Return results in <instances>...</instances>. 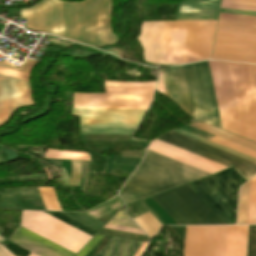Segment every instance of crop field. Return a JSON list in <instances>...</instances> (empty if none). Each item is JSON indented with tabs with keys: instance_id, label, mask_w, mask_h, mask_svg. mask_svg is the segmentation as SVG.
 Returning a JSON list of instances; mask_svg holds the SVG:
<instances>
[{
	"instance_id": "3316defc",
	"label": "crop field",
	"mask_w": 256,
	"mask_h": 256,
	"mask_svg": "<svg viewBox=\"0 0 256 256\" xmlns=\"http://www.w3.org/2000/svg\"><path fill=\"white\" fill-rule=\"evenodd\" d=\"M21 227L75 254L92 238L42 212L23 211Z\"/></svg>"
},
{
	"instance_id": "8a807250",
	"label": "crop field",
	"mask_w": 256,
	"mask_h": 256,
	"mask_svg": "<svg viewBox=\"0 0 256 256\" xmlns=\"http://www.w3.org/2000/svg\"><path fill=\"white\" fill-rule=\"evenodd\" d=\"M223 130L256 142V105L247 65L208 61ZM207 61L161 68L167 97L221 129Z\"/></svg>"
},
{
	"instance_id": "bc2a9ffb",
	"label": "crop field",
	"mask_w": 256,
	"mask_h": 256,
	"mask_svg": "<svg viewBox=\"0 0 256 256\" xmlns=\"http://www.w3.org/2000/svg\"><path fill=\"white\" fill-rule=\"evenodd\" d=\"M136 128L80 127L81 134L133 135Z\"/></svg>"
},
{
	"instance_id": "22f410ed",
	"label": "crop field",
	"mask_w": 256,
	"mask_h": 256,
	"mask_svg": "<svg viewBox=\"0 0 256 256\" xmlns=\"http://www.w3.org/2000/svg\"><path fill=\"white\" fill-rule=\"evenodd\" d=\"M29 82L0 75V126L15 110L32 105Z\"/></svg>"
},
{
	"instance_id": "c035e120",
	"label": "crop field",
	"mask_w": 256,
	"mask_h": 256,
	"mask_svg": "<svg viewBox=\"0 0 256 256\" xmlns=\"http://www.w3.org/2000/svg\"><path fill=\"white\" fill-rule=\"evenodd\" d=\"M7 13H8V14H11V15H16V16H19V17H20V10H8Z\"/></svg>"
},
{
	"instance_id": "e1f06a70",
	"label": "crop field",
	"mask_w": 256,
	"mask_h": 256,
	"mask_svg": "<svg viewBox=\"0 0 256 256\" xmlns=\"http://www.w3.org/2000/svg\"><path fill=\"white\" fill-rule=\"evenodd\" d=\"M220 12L234 13V14H244V15H254V16H256L255 12H245V11H235V10H225V9H221Z\"/></svg>"
},
{
	"instance_id": "00972430",
	"label": "crop field",
	"mask_w": 256,
	"mask_h": 256,
	"mask_svg": "<svg viewBox=\"0 0 256 256\" xmlns=\"http://www.w3.org/2000/svg\"><path fill=\"white\" fill-rule=\"evenodd\" d=\"M250 181L240 188L237 224H246Z\"/></svg>"
},
{
	"instance_id": "92a150f3",
	"label": "crop field",
	"mask_w": 256,
	"mask_h": 256,
	"mask_svg": "<svg viewBox=\"0 0 256 256\" xmlns=\"http://www.w3.org/2000/svg\"><path fill=\"white\" fill-rule=\"evenodd\" d=\"M151 238L162 226L149 212L133 219Z\"/></svg>"
},
{
	"instance_id": "1d83c4d3",
	"label": "crop field",
	"mask_w": 256,
	"mask_h": 256,
	"mask_svg": "<svg viewBox=\"0 0 256 256\" xmlns=\"http://www.w3.org/2000/svg\"><path fill=\"white\" fill-rule=\"evenodd\" d=\"M247 256H256V226H249Z\"/></svg>"
},
{
	"instance_id": "d9b57169",
	"label": "crop field",
	"mask_w": 256,
	"mask_h": 256,
	"mask_svg": "<svg viewBox=\"0 0 256 256\" xmlns=\"http://www.w3.org/2000/svg\"><path fill=\"white\" fill-rule=\"evenodd\" d=\"M221 0H188L180 2L175 20H217Z\"/></svg>"
},
{
	"instance_id": "28ad6ade",
	"label": "crop field",
	"mask_w": 256,
	"mask_h": 256,
	"mask_svg": "<svg viewBox=\"0 0 256 256\" xmlns=\"http://www.w3.org/2000/svg\"><path fill=\"white\" fill-rule=\"evenodd\" d=\"M157 140L212 160L219 164L225 165L227 167L232 166L247 180L256 174V163L185 137L183 135L177 134L175 132L168 133L158 138Z\"/></svg>"
},
{
	"instance_id": "bd1437ed",
	"label": "crop field",
	"mask_w": 256,
	"mask_h": 256,
	"mask_svg": "<svg viewBox=\"0 0 256 256\" xmlns=\"http://www.w3.org/2000/svg\"><path fill=\"white\" fill-rule=\"evenodd\" d=\"M108 224L139 229L122 211H118Z\"/></svg>"
},
{
	"instance_id": "412701ff",
	"label": "crop field",
	"mask_w": 256,
	"mask_h": 256,
	"mask_svg": "<svg viewBox=\"0 0 256 256\" xmlns=\"http://www.w3.org/2000/svg\"><path fill=\"white\" fill-rule=\"evenodd\" d=\"M207 175L210 174L147 150L119 195L128 204Z\"/></svg>"
},
{
	"instance_id": "eef30255",
	"label": "crop field",
	"mask_w": 256,
	"mask_h": 256,
	"mask_svg": "<svg viewBox=\"0 0 256 256\" xmlns=\"http://www.w3.org/2000/svg\"><path fill=\"white\" fill-rule=\"evenodd\" d=\"M247 224H256V176L251 179Z\"/></svg>"
},
{
	"instance_id": "d1516ede",
	"label": "crop field",
	"mask_w": 256,
	"mask_h": 256,
	"mask_svg": "<svg viewBox=\"0 0 256 256\" xmlns=\"http://www.w3.org/2000/svg\"><path fill=\"white\" fill-rule=\"evenodd\" d=\"M147 110L73 109L80 126L137 127Z\"/></svg>"
},
{
	"instance_id": "c21b1889",
	"label": "crop field",
	"mask_w": 256,
	"mask_h": 256,
	"mask_svg": "<svg viewBox=\"0 0 256 256\" xmlns=\"http://www.w3.org/2000/svg\"><path fill=\"white\" fill-rule=\"evenodd\" d=\"M50 43H54V44H58V45L66 46V47L69 46L68 44L60 43V42H57V41H54V40H51V39H50Z\"/></svg>"
},
{
	"instance_id": "cbeb9de0",
	"label": "crop field",
	"mask_w": 256,
	"mask_h": 256,
	"mask_svg": "<svg viewBox=\"0 0 256 256\" xmlns=\"http://www.w3.org/2000/svg\"><path fill=\"white\" fill-rule=\"evenodd\" d=\"M159 141L157 140L152 141L150 146L148 147V150L156 152L163 156L169 157L176 161L182 162L189 166L195 167L202 171L208 172L210 174H213L215 172H218L220 170L227 168L225 166L219 165L217 163L206 160L199 156H196L191 153L180 150L178 148L172 147L173 145L170 146Z\"/></svg>"
},
{
	"instance_id": "5a996713",
	"label": "crop field",
	"mask_w": 256,
	"mask_h": 256,
	"mask_svg": "<svg viewBox=\"0 0 256 256\" xmlns=\"http://www.w3.org/2000/svg\"><path fill=\"white\" fill-rule=\"evenodd\" d=\"M152 198L178 225L225 224L187 184Z\"/></svg>"
},
{
	"instance_id": "dafd665d",
	"label": "crop field",
	"mask_w": 256,
	"mask_h": 256,
	"mask_svg": "<svg viewBox=\"0 0 256 256\" xmlns=\"http://www.w3.org/2000/svg\"><path fill=\"white\" fill-rule=\"evenodd\" d=\"M124 204L122 203L121 199L119 196H116L112 200L86 212L85 214L97 219L109 212H112L120 207H122Z\"/></svg>"
},
{
	"instance_id": "d3111659",
	"label": "crop field",
	"mask_w": 256,
	"mask_h": 256,
	"mask_svg": "<svg viewBox=\"0 0 256 256\" xmlns=\"http://www.w3.org/2000/svg\"><path fill=\"white\" fill-rule=\"evenodd\" d=\"M175 132L180 133V134H183V135H185V136L191 137V138H193V139L199 140V141L204 142V143H206V144L212 145V146H214V147L220 148V149H222V150L228 151V152H230V153L236 154V155H238V156H241V157H243V158H246V159H249V160H251V161L256 162V159H254V158H252V157H249V156H247V155H244V154L239 153V152H237V151H234V150H232V149L226 148V147H224V146H221V145H219V144H216V143H214V142H211V141L206 140V139H204V138H201V137H199V136L193 135V134L188 133V132H186V131H183V130H181V129H179V130H177V131H175Z\"/></svg>"
},
{
	"instance_id": "028f5c9d",
	"label": "crop field",
	"mask_w": 256,
	"mask_h": 256,
	"mask_svg": "<svg viewBox=\"0 0 256 256\" xmlns=\"http://www.w3.org/2000/svg\"><path fill=\"white\" fill-rule=\"evenodd\" d=\"M169 228L173 230L184 241L185 227H169Z\"/></svg>"
},
{
	"instance_id": "03da06ac",
	"label": "crop field",
	"mask_w": 256,
	"mask_h": 256,
	"mask_svg": "<svg viewBox=\"0 0 256 256\" xmlns=\"http://www.w3.org/2000/svg\"><path fill=\"white\" fill-rule=\"evenodd\" d=\"M6 240L5 238H3L2 236H0V242Z\"/></svg>"
},
{
	"instance_id": "e52e79f7",
	"label": "crop field",
	"mask_w": 256,
	"mask_h": 256,
	"mask_svg": "<svg viewBox=\"0 0 256 256\" xmlns=\"http://www.w3.org/2000/svg\"><path fill=\"white\" fill-rule=\"evenodd\" d=\"M155 85L105 81L106 94L74 93L73 108L147 109Z\"/></svg>"
},
{
	"instance_id": "b54c1fbb",
	"label": "crop field",
	"mask_w": 256,
	"mask_h": 256,
	"mask_svg": "<svg viewBox=\"0 0 256 256\" xmlns=\"http://www.w3.org/2000/svg\"><path fill=\"white\" fill-rule=\"evenodd\" d=\"M30 256H36V255H34V254H32V253H31V255H30Z\"/></svg>"
},
{
	"instance_id": "214f88e0",
	"label": "crop field",
	"mask_w": 256,
	"mask_h": 256,
	"mask_svg": "<svg viewBox=\"0 0 256 256\" xmlns=\"http://www.w3.org/2000/svg\"><path fill=\"white\" fill-rule=\"evenodd\" d=\"M45 158L90 161L89 154L85 152L63 151V150H53V149L47 150L45 154Z\"/></svg>"
},
{
	"instance_id": "d32e631a",
	"label": "crop field",
	"mask_w": 256,
	"mask_h": 256,
	"mask_svg": "<svg viewBox=\"0 0 256 256\" xmlns=\"http://www.w3.org/2000/svg\"><path fill=\"white\" fill-rule=\"evenodd\" d=\"M141 159H127L115 157L113 164L137 166Z\"/></svg>"
},
{
	"instance_id": "b80d0937",
	"label": "crop field",
	"mask_w": 256,
	"mask_h": 256,
	"mask_svg": "<svg viewBox=\"0 0 256 256\" xmlns=\"http://www.w3.org/2000/svg\"><path fill=\"white\" fill-rule=\"evenodd\" d=\"M147 245H148V243H143V245L141 246V248L139 249V251L136 253L135 256H141V254L143 253V251L145 250Z\"/></svg>"
},
{
	"instance_id": "f4fd0767",
	"label": "crop field",
	"mask_w": 256,
	"mask_h": 256,
	"mask_svg": "<svg viewBox=\"0 0 256 256\" xmlns=\"http://www.w3.org/2000/svg\"><path fill=\"white\" fill-rule=\"evenodd\" d=\"M217 30L256 34V17L220 13ZM217 31L212 59L256 63V35Z\"/></svg>"
},
{
	"instance_id": "ac0d7876",
	"label": "crop field",
	"mask_w": 256,
	"mask_h": 256,
	"mask_svg": "<svg viewBox=\"0 0 256 256\" xmlns=\"http://www.w3.org/2000/svg\"><path fill=\"white\" fill-rule=\"evenodd\" d=\"M111 0H88L64 4L43 0L30 9H22L26 27L79 43L99 47L119 41L110 26Z\"/></svg>"
},
{
	"instance_id": "730fd06b",
	"label": "crop field",
	"mask_w": 256,
	"mask_h": 256,
	"mask_svg": "<svg viewBox=\"0 0 256 256\" xmlns=\"http://www.w3.org/2000/svg\"><path fill=\"white\" fill-rule=\"evenodd\" d=\"M221 8L256 11V0H222Z\"/></svg>"
},
{
	"instance_id": "0bd39190",
	"label": "crop field",
	"mask_w": 256,
	"mask_h": 256,
	"mask_svg": "<svg viewBox=\"0 0 256 256\" xmlns=\"http://www.w3.org/2000/svg\"><path fill=\"white\" fill-rule=\"evenodd\" d=\"M0 256H14L6 248L0 245Z\"/></svg>"
},
{
	"instance_id": "4177f3b9",
	"label": "crop field",
	"mask_w": 256,
	"mask_h": 256,
	"mask_svg": "<svg viewBox=\"0 0 256 256\" xmlns=\"http://www.w3.org/2000/svg\"><path fill=\"white\" fill-rule=\"evenodd\" d=\"M47 210L62 211L57 201L54 188H38Z\"/></svg>"
},
{
	"instance_id": "a9b5d70f",
	"label": "crop field",
	"mask_w": 256,
	"mask_h": 256,
	"mask_svg": "<svg viewBox=\"0 0 256 256\" xmlns=\"http://www.w3.org/2000/svg\"><path fill=\"white\" fill-rule=\"evenodd\" d=\"M36 63H37V61L27 59L25 65L21 66L20 70L19 69L18 70L22 71V72L29 73V76H30L31 69L36 65ZM0 66L9 68V69H13L1 62H0ZM13 70H15V69H13ZM26 73H21V72H17V71L0 68V74L12 76V77H16V78H21V79H25V80H27V76H28V74H26ZM29 76H28V80H29Z\"/></svg>"
},
{
	"instance_id": "5866460e",
	"label": "crop field",
	"mask_w": 256,
	"mask_h": 256,
	"mask_svg": "<svg viewBox=\"0 0 256 256\" xmlns=\"http://www.w3.org/2000/svg\"><path fill=\"white\" fill-rule=\"evenodd\" d=\"M248 67H249V72H250V76H251L255 100H256V66L248 65Z\"/></svg>"
},
{
	"instance_id": "d8731c3e",
	"label": "crop field",
	"mask_w": 256,
	"mask_h": 256,
	"mask_svg": "<svg viewBox=\"0 0 256 256\" xmlns=\"http://www.w3.org/2000/svg\"><path fill=\"white\" fill-rule=\"evenodd\" d=\"M244 182L232 168H229L188 185L226 224H235L238 185Z\"/></svg>"
},
{
	"instance_id": "dd49c442",
	"label": "crop field",
	"mask_w": 256,
	"mask_h": 256,
	"mask_svg": "<svg viewBox=\"0 0 256 256\" xmlns=\"http://www.w3.org/2000/svg\"><path fill=\"white\" fill-rule=\"evenodd\" d=\"M248 226L187 227L185 256H246Z\"/></svg>"
},
{
	"instance_id": "750c4746",
	"label": "crop field",
	"mask_w": 256,
	"mask_h": 256,
	"mask_svg": "<svg viewBox=\"0 0 256 256\" xmlns=\"http://www.w3.org/2000/svg\"><path fill=\"white\" fill-rule=\"evenodd\" d=\"M71 162H72V177H71L70 183H69V180L66 176L64 169L62 168V173L64 176L65 184L66 185H79L80 173H81V162H76V161H71Z\"/></svg>"
},
{
	"instance_id": "4a817a6b",
	"label": "crop field",
	"mask_w": 256,
	"mask_h": 256,
	"mask_svg": "<svg viewBox=\"0 0 256 256\" xmlns=\"http://www.w3.org/2000/svg\"><path fill=\"white\" fill-rule=\"evenodd\" d=\"M189 126L197 128L199 130H202L204 132L210 133L212 135L218 136L220 138H223L225 140L231 141L233 143H236L238 145L244 146L246 148H249L251 150L256 151V144L246 141L244 139H241L239 137H236L234 135L228 134L226 132H223L221 130H218L216 128L210 127L208 125H205L203 123H194L190 124Z\"/></svg>"
},
{
	"instance_id": "34b2d1b8",
	"label": "crop field",
	"mask_w": 256,
	"mask_h": 256,
	"mask_svg": "<svg viewBox=\"0 0 256 256\" xmlns=\"http://www.w3.org/2000/svg\"><path fill=\"white\" fill-rule=\"evenodd\" d=\"M217 21L143 22L144 62L184 64L210 59Z\"/></svg>"
},
{
	"instance_id": "733c2abd",
	"label": "crop field",
	"mask_w": 256,
	"mask_h": 256,
	"mask_svg": "<svg viewBox=\"0 0 256 256\" xmlns=\"http://www.w3.org/2000/svg\"><path fill=\"white\" fill-rule=\"evenodd\" d=\"M140 242L112 238L96 256H133Z\"/></svg>"
},
{
	"instance_id": "120bbe31",
	"label": "crop field",
	"mask_w": 256,
	"mask_h": 256,
	"mask_svg": "<svg viewBox=\"0 0 256 256\" xmlns=\"http://www.w3.org/2000/svg\"><path fill=\"white\" fill-rule=\"evenodd\" d=\"M102 237L96 235L76 256H85Z\"/></svg>"
},
{
	"instance_id": "ae1a2a85",
	"label": "crop field",
	"mask_w": 256,
	"mask_h": 256,
	"mask_svg": "<svg viewBox=\"0 0 256 256\" xmlns=\"http://www.w3.org/2000/svg\"><path fill=\"white\" fill-rule=\"evenodd\" d=\"M44 213L62 221V222L66 223V224H68V225H70V226H72V227H74V228L92 236V237L96 233V231H94V230H92V229H90V228H88V227H86V226H84V225H82V224H80V223L62 215V214H60V213H50V212H44Z\"/></svg>"
},
{
	"instance_id": "5142ce71",
	"label": "crop field",
	"mask_w": 256,
	"mask_h": 256,
	"mask_svg": "<svg viewBox=\"0 0 256 256\" xmlns=\"http://www.w3.org/2000/svg\"><path fill=\"white\" fill-rule=\"evenodd\" d=\"M9 241L39 256H74L75 254L23 229L19 228Z\"/></svg>"
}]
</instances>
